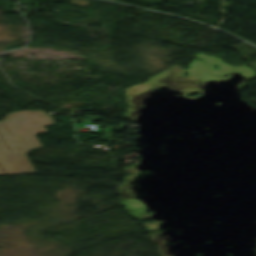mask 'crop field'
I'll return each instance as SVG.
<instances>
[{
    "label": "crop field",
    "mask_w": 256,
    "mask_h": 256,
    "mask_svg": "<svg viewBox=\"0 0 256 256\" xmlns=\"http://www.w3.org/2000/svg\"><path fill=\"white\" fill-rule=\"evenodd\" d=\"M51 123V116L43 110L19 111L0 120V174L36 173L26 152L42 146L35 135Z\"/></svg>",
    "instance_id": "crop-field-1"
}]
</instances>
